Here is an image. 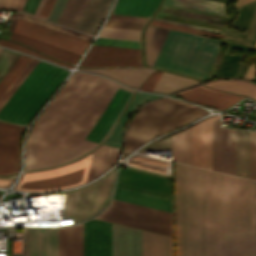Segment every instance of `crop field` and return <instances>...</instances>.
I'll return each mask as SVG.
<instances>
[{
    "instance_id": "crop-field-1",
    "label": "crop field",
    "mask_w": 256,
    "mask_h": 256,
    "mask_svg": "<svg viewBox=\"0 0 256 256\" xmlns=\"http://www.w3.org/2000/svg\"><path fill=\"white\" fill-rule=\"evenodd\" d=\"M176 256H256V182L175 162Z\"/></svg>"
},
{
    "instance_id": "crop-field-2",
    "label": "crop field",
    "mask_w": 256,
    "mask_h": 256,
    "mask_svg": "<svg viewBox=\"0 0 256 256\" xmlns=\"http://www.w3.org/2000/svg\"><path fill=\"white\" fill-rule=\"evenodd\" d=\"M134 90L74 72L33 125L25 170L66 163L97 146L112 130Z\"/></svg>"
},
{
    "instance_id": "crop-field-3",
    "label": "crop field",
    "mask_w": 256,
    "mask_h": 256,
    "mask_svg": "<svg viewBox=\"0 0 256 256\" xmlns=\"http://www.w3.org/2000/svg\"><path fill=\"white\" fill-rule=\"evenodd\" d=\"M220 43L170 30L153 67L204 79Z\"/></svg>"
},
{
    "instance_id": "crop-field-4",
    "label": "crop field",
    "mask_w": 256,
    "mask_h": 256,
    "mask_svg": "<svg viewBox=\"0 0 256 256\" xmlns=\"http://www.w3.org/2000/svg\"><path fill=\"white\" fill-rule=\"evenodd\" d=\"M68 73L66 69L39 61L0 109V120L28 125Z\"/></svg>"
},
{
    "instance_id": "crop-field-5",
    "label": "crop field",
    "mask_w": 256,
    "mask_h": 256,
    "mask_svg": "<svg viewBox=\"0 0 256 256\" xmlns=\"http://www.w3.org/2000/svg\"><path fill=\"white\" fill-rule=\"evenodd\" d=\"M207 113L199 107L172 98L145 106L130 123L123 157L147 140Z\"/></svg>"
},
{
    "instance_id": "crop-field-6",
    "label": "crop field",
    "mask_w": 256,
    "mask_h": 256,
    "mask_svg": "<svg viewBox=\"0 0 256 256\" xmlns=\"http://www.w3.org/2000/svg\"><path fill=\"white\" fill-rule=\"evenodd\" d=\"M98 219L171 236V213L113 200Z\"/></svg>"
},
{
    "instance_id": "crop-field-7",
    "label": "crop field",
    "mask_w": 256,
    "mask_h": 256,
    "mask_svg": "<svg viewBox=\"0 0 256 256\" xmlns=\"http://www.w3.org/2000/svg\"><path fill=\"white\" fill-rule=\"evenodd\" d=\"M91 155L63 167L26 173L16 189L43 191L80 185L86 180Z\"/></svg>"
},
{
    "instance_id": "crop-field-8",
    "label": "crop field",
    "mask_w": 256,
    "mask_h": 256,
    "mask_svg": "<svg viewBox=\"0 0 256 256\" xmlns=\"http://www.w3.org/2000/svg\"><path fill=\"white\" fill-rule=\"evenodd\" d=\"M112 0H68L58 24L94 35Z\"/></svg>"
},
{
    "instance_id": "crop-field-9",
    "label": "crop field",
    "mask_w": 256,
    "mask_h": 256,
    "mask_svg": "<svg viewBox=\"0 0 256 256\" xmlns=\"http://www.w3.org/2000/svg\"><path fill=\"white\" fill-rule=\"evenodd\" d=\"M80 65L87 67H144L140 50L97 45H92Z\"/></svg>"
},
{
    "instance_id": "crop-field-10",
    "label": "crop field",
    "mask_w": 256,
    "mask_h": 256,
    "mask_svg": "<svg viewBox=\"0 0 256 256\" xmlns=\"http://www.w3.org/2000/svg\"><path fill=\"white\" fill-rule=\"evenodd\" d=\"M212 169L235 175L234 130L220 127V117L212 121Z\"/></svg>"
},
{
    "instance_id": "crop-field-11",
    "label": "crop field",
    "mask_w": 256,
    "mask_h": 256,
    "mask_svg": "<svg viewBox=\"0 0 256 256\" xmlns=\"http://www.w3.org/2000/svg\"><path fill=\"white\" fill-rule=\"evenodd\" d=\"M169 179L127 169H120L117 187L171 199Z\"/></svg>"
},
{
    "instance_id": "crop-field-12",
    "label": "crop field",
    "mask_w": 256,
    "mask_h": 256,
    "mask_svg": "<svg viewBox=\"0 0 256 256\" xmlns=\"http://www.w3.org/2000/svg\"><path fill=\"white\" fill-rule=\"evenodd\" d=\"M24 127L0 122V174L18 172L20 166L19 139Z\"/></svg>"
},
{
    "instance_id": "crop-field-13",
    "label": "crop field",
    "mask_w": 256,
    "mask_h": 256,
    "mask_svg": "<svg viewBox=\"0 0 256 256\" xmlns=\"http://www.w3.org/2000/svg\"><path fill=\"white\" fill-rule=\"evenodd\" d=\"M83 255L112 256L111 224L95 220L83 223Z\"/></svg>"
},
{
    "instance_id": "crop-field-14",
    "label": "crop field",
    "mask_w": 256,
    "mask_h": 256,
    "mask_svg": "<svg viewBox=\"0 0 256 256\" xmlns=\"http://www.w3.org/2000/svg\"><path fill=\"white\" fill-rule=\"evenodd\" d=\"M239 16L231 26L246 30L245 34L228 29L224 39L253 46L256 42V1L237 9Z\"/></svg>"
},
{
    "instance_id": "crop-field-15",
    "label": "crop field",
    "mask_w": 256,
    "mask_h": 256,
    "mask_svg": "<svg viewBox=\"0 0 256 256\" xmlns=\"http://www.w3.org/2000/svg\"><path fill=\"white\" fill-rule=\"evenodd\" d=\"M27 256H58V229H27Z\"/></svg>"
},
{
    "instance_id": "crop-field-16",
    "label": "crop field",
    "mask_w": 256,
    "mask_h": 256,
    "mask_svg": "<svg viewBox=\"0 0 256 256\" xmlns=\"http://www.w3.org/2000/svg\"><path fill=\"white\" fill-rule=\"evenodd\" d=\"M206 118L193 125L194 165L211 169V120Z\"/></svg>"
},
{
    "instance_id": "crop-field-17",
    "label": "crop field",
    "mask_w": 256,
    "mask_h": 256,
    "mask_svg": "<svg viewBox=\"0 0 256 256\" xmlns=\"http://www.w3.org/2000/svg\"><path fill=\"white\" fill-rule=\"evenodd\" d=\"M113 256H141V231L112 224Z\"/></svg>"
},
{
    "instance_id": "crop-field-18",
    "label": "crop field",
    "mask_w": 256,
    "mask_h": 256,
    "mask_svg": "<svg viewBox=\"0 0 256 256\" xmlns=\"http://www.w3.org/2000/svg\"><path fill=\"white\" fill-rule=\"evenodd\" d=\"M175 95L219 109H225L242 98L241 96L207 89L202 86Z\"/></svg>"
},
{
    "instance_id": "crop-field-19",
    "label": "crop field",
    "mask_w": 256,
    "mask_h": 256,
    "mask_svg": "<svg viewBox=\"0 0 256 256\" xmlns=\"http://www.w3.org/2000/svg\"><path fill=\"white\" fill-rule=\"evenodd\" d=\"M101 179L79 189L73 223L96 213Z\"/></svg>"
},
{
    "instance_id": "crop-field-20",
    "label": "crop field",
    "mask_w": 256,
    "mask_h": 256,
    "mask_svg": "<svg viewBox=\"0 0 256 256\" xmlns=\"http://www.w3.org/2000/svg\"><path fill=\"white\" fill-rule=\"evenodd\" d=\"M59 256H83L82 224L59 229Z\"/></svg>"
},
{
    "instance_id": "crop-field-21",
    "label": "crop field",
    "mask_w": 256,
    "mask_h": 256,
    "mask_svg": "<svg viewBox=\"0 0 256 256\" xmlns=\"http://www.w3.org/2000/svg\"><path fill=\"white\" fill-rule=\"evenodd\" d=\"M10 39L15 40L17 42H20L24 45H27L39 52H42L44 54H48L51 55L59 60L65 61V62H69V63H73L75 64V62L77 61V59L79 58L80 54L17 34V33H12V35L10 36Z\"/></svg>"
},
{
    "instance_id": "crop-field-22",
    "label": "crop field",
    "mask_w": 256,
    "mask_h": 256,
    "mask_svg": "<svg viewBox=\"0 0 256 256\" xmlns=\"http://www.w3.org/2000/svg\"><path fill=\"white\" fill-rule=\"evenodd\" d=\"M115 200L171 212V200L117 188Z\"/></svg>"
},
{
    "instance_id": "crop-field-23",
    "label": "crop field",
    "mask_w": 256,
    "mask_h": 256,
    "mask_svg": "<svg viewBox=\"0 0 256 256\" xmlns=\"http://www.w3.org/2000/svg\"><path fill=\"white\" fill-rule=\"evenodd\" d=\"M117 153L118 149L104 145L94 151L86 182L95 178L113 165L117 159Z\"/></svg>"
},
{
    "instance_id": "crop-field-24",
    "label": "crop field",
    "mask_w": 256,
    "mask_h": 256,
    "mask_svg": "<svg viewBox=\"0 0 256 256\" xmlns=\"http://www.w3.org/2000/svg\"><path fill=\"white\" fill-rule=\"evenodd\" d=\"M142 256H171V238L142 231Z\"/></svg>"
},
{
    "instance_id": "crop-field-25",
    "label": "crop field",
    "mask_w": 256,
    "mask_h": 256,
    "mask_svg": "<svg viewBox=\"0 0 256 256\" xmlns=\"http://www.w3.org/2000/svg\"><path fill=\"white\" fill-rule=\"evenodd\" d=\"M160 0H118L112 13L150 17Z\"/></svg>"
},
{
    "instance_id": "crop-field-26",
    "label": "crop field",
    "mask_w": 256,
    "mask_h": 256,
    "mask_svg": "<svg viewBox=\"0 0 256 256\" xmlns=\"http://www.w3.org/2000/svg\"><path fill=\"white\" fill-rule=\"evenodd\" d=\"M173 160L193 165L192 126L173 135Z\"/></svg>"
},
{
    "instance_id": "crop-field-27",
    "label": "crop field",
    "mask_w": 256,
    "mask_h": 256,
    "mask_svg": "<svg viewBox=\"0 0 256 256\" xmlns=\"http://www.w3.org/2000/svg\"><path fill=\"white\" fill-rule=\"evenodd\" d=\"M236 175L249 178V134L235 130Z\"/></svg>"
},
{
    "instance_id": "crop-field-28",
    "label": "crop field",
    "mask_w": 256,
    "mask_h": 256,
    "mask_svg": "<svg viewBox=\"0 0 256 256\" xmlns=\"http://www.w3.org/2000/svg\"><path fill=\"white\" fill-rule=\"evenodd\" d=\"M168 31L169 30L167 29L158 27H148L145 34V48L148 65L153 66Z\"/></svg>"
},
{
    "instance_id": "crop-field-29",
    "label": "crop field",
    "mask_w": 256,
    "mask_h": 256,
    "mask_svg": "<svg viewBox=\"0 0 256 256\" xmlns=\"http://www.w3.org/2000/svg\"><path fill=\"white\" fill-rule=\"evenodd\" d=\"M158 97H160V96H155V95H150V94L138 92L135 99L133 100V102L131 103V105L127 109L126 113L124 114V116L120 120L119 124L115 128L113 134L111 135V137L105 143L120 147L121 140H122V134H123V128H124V124H125V121H126L128 115L135 108H137L138 106H140L144 102H146L148 100L158 98Z\"/></svg>"
},
{
    "instance_id": "crop-field-30",
    "label": "crop field",
    "mask_w": 256,
    "mask_h": 256,
    "mask_svg": "<svg viewBox=\"0 0 256 256\" xmlns=\"http://www.w3.org/2000/svg\"><path fill=\"white\" fill-rule=\"evenodd\" d=\"M87 71H89V70H87ZM92 72H96V73L114 78V79H116V80H118V81H120V82H122V83H124L128 86L136 88L137 85L141 82V80L145 77V75L150 71H141V70H100V71H92Z\"/></svg>"
},
{
    "instance_id": "crop-field-31",
    "label": "crop field",
    "mask_w": 256,
    "mask_h": 256,
    "mask_svg": "<svg viewBox=\"0 0 256 256\" xmlns=\"http://www.w3.org/2000/svg\"><path fill=\"white\" fill-rule=\"evenodd\" d=\"M208 87L234 92L252 97L256 100V85L237 80H223L205 84Z\"/></svg>"
},
{
    "instance_id": "crop-field-32",
    "label": "crop field",
    "mask_w": 256,
    "mask_h": 256,
    "mask_svg": "<svg viewBox=\"0 0 256 256\" xmlns=\"http://www.w3.org/2000/svg\"><path fill=\"white\" fill-rule=\"evenodd\" d=\"M195 83L198 82L192 79L163 72L153 91L170 93Z\"/></svg>"
},
{
    "instance_id": "crop-field-33",
    "label": "crop field",
    "mask_w": 256,
    "mask_h": 256,
    "mask_svg": "<svg viewBox=\"0 0 256 256\" xmlns=\"http://www.w3.org/2000/svg\"><path fill=\"white\" fill-rule=\"evenodd\" d=\"M165 3L225 15L223 3L208 0H166Z\"/></svg>"
},
{
    "instance_id": "crop-field-34",
    "label": "crop field",
    "mask_w": 256,
    "mask_h": 256,
    "mask_svg": "<svg viewBox=\"0 0 256 256\" xmlns=\"http://www.w3.org/2000/svg\"><path fill=\"white\" fill-rule=\"evenodd\" d=\"M18 17L29 20V21H32V22H35V23H38V24H41V25H44V26H47V27H50V28H53L55 30H58V31H61V32H64V33H67V34L85 39V40L90 41L91 38H92V37H89L85 34H82V33H79V32H76V31H73V30H70V29H67V28H64V27L46 22V21H43V20H40V19H37V18H34V17L28 16V15H25V14H22V13H10V15L8 16V19L14 20L12 25H11V28L9 30L10 32H12Z\"/></svg>"
},
{
    "instance_id": "crop-field-35",
    "label": "crop field",
    "mask_w": 256,
    "mask_h": 256,
    "mask_svg": "<svg viewBox=\"0 0 256 256\" xmlns=\"http://www.w3.org/2000/svg\"><path fill=\"white\" fill-rule=\"evenodd\" d=\"M30 59L31 57L23 55L20 56L17 62L13 65V67L0 82V97L7 90V88L14 81V79L18 76V74L22 71V69L26 66V64L30 61Z\"/></svg>"
},
{
    "instance_id": "crop-field-36",
    "label": "crop field",
    "mask_w": 256,
    "mask_h": 256,
    "mask_svg": "<svg viewBox=\"0 0 256 256\" xmlns=\"http://www.w3.org/2000/svg\"><path fill=\"white\" fill-rule=\"evenodd\" d=\"M38 61L39 60L34 58L31 59V61L27 64V66L23 69V71L19 74V76L15 79V81L11 84L8 90L0 98V108L11 96V94L15 91V89L20 85V83L24 80V78L28 75V73L33 69V67L37 64Z\"/></svg>"
},
{
    "instance_id": "crop-field-37",
    "label": "crop field",
    "mask_w": 256,
    "mask_h": 256,
    "mask_svg": "<svg viewBox=\"0 0 256 256\" xmlns=\"http://www.w3.org/2000/svg\"><path fill=\"white\" fill-rule=\"evenodd\" d=\"M141 31L103 27L100 36L139 40Z\"/></svg>"
},
{
    "instance_id": "crop-field-38",
    "label": "crop field",
    "mask_w": 256,
    "mask_h": 256,
    "mask_svg": "<svg viewBox=\"0 0 256 256\" xmlns=\"http://www.w3.org/2000/svg\"><path fill=\"white\" fill-rule=\"evenodd\" d=\"M114 176H115V168L103 176L98 210H100L104 206V204L106 203L111 193Z\"/></svg>"
},
{
    "instance_id": "crop-field-39",
    "label": "crop field",
    "mask_w": 256,
    "mask_h": 256,
    "mask_svg": "<svg viewBox=\"0 0 256 256\" xmlns=\"http://www.w3.org/2000/svg\"><path fill=\"white\" fill-rule=\"evenodd\" d=\"M20 54L2 49L0 52V81L19 58Z\"/></svg>"
},
{
    "instance_id": "crop-field-40",
    "label": "crop field",
    "mask_w": 256,
    "mask_h": 256,
    "mask_svg": "<svg viewBox=\"0 0 256 256\" xmlns=\"http://www.w3.org/2000/svg\"><path fill=\"white\" fill-rule=\"evenodd\" d=\"M25 1L26 0H9L6 5V8L21 10ZM39 1L40 0H27L22 10L33 14Z\"/></svg>"
},
{
    "instance_id": "crop-field-41",
    "label": "crop field",
    "mask_w": 256,
    "mask_h": 256,
    "mask_svg": "<svg viewBox=\"0 0 256 256\" xmlns=\"http://www.w3.org/2000/svg\"><path fill=\"white\" fill-rule=\"evenodd\" d=\"M94 44L140 49V43L134 41L96 38Z\"/></svg>"
},
{
    "instance_id": "crop-field-42",
    "label": "crop field",
    "mask_w": 256,
    "mask_h": 256,
    "mask_svg": "<svg viewBox=\"0 0 256 256\" xmlns=\"http://www.w3.org/2000/svg\"><path fill=\"white\" fill-rule=\"evenodd\" d=\"M150 24L158 25V26H162V27H167V28H172V29H176V30L188 31V32H193V33H200V34H203V35H209V36H214V37H220V38L223 37L222 34H217V33L198 30V29H192V28H188V27L178 26V25L164 23V22L155 21V20H152V22Z\"/></svg>"
},
{
    "instance_id": "crop-field-43",
    "label": "crop field",
    "mask_w": 256,
    "mask_h": 256,
    "mask_svg": "<svg viewBox=\"0 0 256 256\" xmlns=\"http://www.w3.org/2000/svg\"><path fill=\"white\" fill-rule=\"evenodd\" d=\"M146 150H171L172 156V136L151 143L138 152L146 154Z\"/></svg>"
},
{
    "instance_id": "crop-field-44",
    "label": "crop field",
    "mask_w": 256,
    "mask_h": 256,
    "mask_svg": "<svg viewBox=\"0 0 256 256\" xmlns=\"http://www.w3.org/2000/svg\"><path fill=\"white\" fill-rule=\"evenodd\" d=\"M77 191L78 189L68 191L62 219L73 217Z\"/></svg>"
},
{
    "instance_id": "crop-field-45",
    "label": "crop field",
    "mask_w": 256,
    "mask_h": 256,
    "mask_svg": "<svg viewBox=\"0 0 256 256\" xmlns=\"http://www.w3.org/2000/svg\"><path fill=\"white\" fill-rule=\"evenodd\" d=\"M250 133H254V132H250ZM254 134H250V176L252 177H256V135ZM252 179H256V178H252Z\"/></svg>"
},
{
    "instance_id": "crop-field-46",
    "label": "crop field",
    "mask_w": 256,
    "mask_h": 256,
    "mask_svg": "<svg viewBox=\"0 0 256 256\" xmlns=\"http://www.w3.org/2000/svg\"><path fill=\"white\" fill-rule=\"evenodd\" d=\"M105 26L141 30L144 24L107 20Z\"/></svg>"
},
{
    "instance_id": "crop-field-47",
    "label": "crop field",
    "mask_w": 256,
    "mask_h": 256,
    "mask_svg": "<svg viewBox=\"0 0 256 256\" xmlns=\"http://www.w3.org/2000/svg\"><path fill=\"white\" fill-rule=\"evenodd\" d=\"M66 2L67 0H56L47 19L56 23Z\"/></svg>"
},
{
    "instance_id": "crop-field-48",
    "label": "crop field",
    "mask_w": 256,
    "mask_h": 256,
    "mask_svg": "<svg viewBox=\"0 0 256 256\" xmlns=\"http://www.w3.org/2000/svg\"><path fill=\"white\" fill-rule=\"evenodd\" d=\"M0 45H4V46L10 47V48H14V49H17V50H20V51H24V52H27V53H30V54H34V55L43 57L45 59L51 60L53 62H56V61H54L52 59L46 58V57H44V56H42V55H40V54H38V53H36L34 51H31V50H29V49H27L25 47H22V46H20L18 44L10 42V41H6V40L0 39ZM56 63H58V62H56ZM59 64L64 65V66H68V67H72V66H69L67 64H62V63H59Z\"/></svg>"
},
{
    "instance_id": "crop-field-49",
    "label": "crop field",
    "mask_w": 256,
    "mask_h": 256,
    "mask_svg": "<svg viewBox=\"0 0 256 256\" xmlns=\"http://www.w3.org/2000/svg\"><path fill=\"white\" fill-rule=\"evenodd\" d=\"M109 19L145 23L148 18L111 14Z\"/></svg>"
},
{
    "instance_id": "crop-field-50",
    "label": "crop field",
    "mask_w": 256,
    "mask_h": 256,
    "mask_svg": "<svg viewBox=\"0 0 256 256\" xmlns=\"http://www.w3.org/2000/svg\"><path fill=\"white\" fill-rule=\"evenodd\" d=\"M162 72H154L149 77V79L145 82L141 89L152 91L153 87L155 86L156 82L158 81L159 77L161 76Z\"/></svg>"
},
{
    "instance_id": "crop-field-51",
    "label": "crop field",
    "mask_w": 256,
    "mask_h": 256,
    "mask_svg": "<svg viewBox=\"0 0 256 256\" xmlns=\"http://www.w3.org/2000/svg\"><path fill=\"white\" fill-rule=\"evenodd\" d=\"M154 19H155V20L164 21V22H169V23L184 25V26H188V27L201 28V29H206V30H210V31H216V32H222V33H224L223 30H218V29H213V28H208V27H203V26H198V25H193V24H187V23H182V22H177V21H172V20H167V19H162V18H157V17H155Z\"/></svg>"
},
{
    "instance_id": "crop-field-52",
    "label": "crop field",
    "mask_w": 256,
    "mask_h": 256,
    "mask_svg": "<svg viewBox=\"0 0 256 256\" xmlns=\"http://www.w3.org/2000/svg\"><path fill=\"white\" fill-rule=\"evenodd\" d=\"M254 65H255V63H253V65L249 67V69L245 75L246 78L254 79L255 74H256V69L254 68Z\"/></svg>"
},
{
    "instance_id": "crop-field-53",
    "label": "crop field",
    "mask_w": 256,
    "mask_h": 256,
    "mask_svg": "<svg viewBox=\"0 0 256 256\" xmlns=\"http://www.w3.org/2000/svg\"><path fill=\"white\" fill-rule=\"evenodd\" d=\"M12 181L13 179L0 178V187H8Z\"/></svg>"
},
{
    "instance_id": "crop-field-54",
    "label": "crop field",
    "mask_w": 256,
    "mask_h": 256,
    "mask_svg": "<svg viewBox=\"0 0 256 256\" xmlns=\"http://www.w3.org/2000/svg\"><path fill=\"white\" fill-rule=\"evenodd\" d=\"M253 0H238L237 3L234 5L236 8L243 6Z\"/></svg>"
},
{
    "instance_id": "crop-field-55",
    "label": "crop field",
    "mask_w": 256,
    "mask_h": 256,
    "mask_svg": "<svg viewBox=\"0 0 256 256\" xmlns=\"http://www.w3.org/2000/svg\"><path fill=\"white\" fill-rule=\"evenodd\" d=\"M8 0H0V7L4 8Z\"/></svg>"
},
{
    "instance_id": "crop-field-56",
    "label": "crop field",
    "mask_w": 256,
    "mask_h": 256,
    "mask_svg": "<svg viewBox=\"0 0 256 256\" xmlns=\"http://www.w3.org/2000/svg\"><path fill=\"white\" fill-rule=\"evenodd\" d=\"M24 256H26V229H25Z\"/></svg>"
},
{
    "instance_id": "crop-field-57",
    "label": "crop field",
    "mask_w": 256,
    "mask_h": 256,
    "mask_svg": "<svg viewBox=\"0 0 256 256\" xmlns=\"http://www.w3.org/2000/svg\"><path fill=\"white\" fill-rule=\"evenodd\" d=\"M1 49V48H0Z\"/></svg>"
},
{
    "instance_id": "crop-field-58",
    "label": "crop field",
    "mask_w": 256,
    "mask_h": 256,
    "mask_svg": "<svg viewBox=\"0 0 256 256\" xmlns=\"http://www.w3.org/2000/svg\"><path fill=\"white\" fill-rule=\"evenodd\" d=\"M256 47V46H255Z\"/></svg>"
}]
</instances>
